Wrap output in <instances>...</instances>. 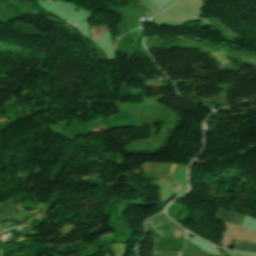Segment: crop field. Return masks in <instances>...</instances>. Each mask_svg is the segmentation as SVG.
Returning a JSON list of instances; mask_svg holds the SVG:
<instances>
[{"instance_id":"crop-field-3","label":"crop field","mask_w":256,"mask_h":256,"mask_svg":"<svg viewBox=\"0 0 256 256\" xmlns=\"http://www.w3.org/2000/svg\"><path fill=\"white\" fill-rule=\"evenodd\" d=\"M171 168H172V165L152 164V163L143 164L144 171L153 173L160 178H167V179L173 180L170 173Z\"/></svg>"},{"instance_id":"crop-field-8","label":"crop field","mask_w":256,"mask_h":256,"mask_svg":"<svg viewBox=\"0 0 256 256\" xmlns=\"http://www.w3.org/2000/svg\"><path fill=\"white\" fill-rule=\"evenodd\" d=\"M154 256H174V252L154 251Z\"/></svg>"},{"instance_id":"crop-field-1","label":"crop field","mask_w":256,"mask_h":256,"mask_svg":"<svg viewBox=\"0 0 256 256\" xmlns=\"http://www.w3.org/2000/svg\"><path fill=\"white\" fill-rule=\"evenodd\" d=\"M245 216L246 215L241 216L240 214H238L236 212H228V211L220 208L216 218L238 225V223L241 220H243L245 218ZM230 241H231L230 239L224 238V240L221 241V243H223L224 244L223 247H225ZM231 245H235L236 246L235 247L236 250H240V251L256 254V243L255 242H246V241L232 240L226 246V248L231 246Z\"/></svg>"},{"instance_id":"crop-field-4","label":"crop field","mask_w":256,"mask_h":256,"mask_svg":"<svg viewBox=\"0 0 256 256\" xmlns=\"http://www.w3.org/2000/svg\"><path fill=\"white\" fill-rule=\"evenodd\" d=\"M188 166L175 165L172 171L174 179L181 183L182 189H187V172Z\"/></svg>"},{"instance_id":"crop-field-6","label":"crop field","mask_w":256,"mask_h":256,"mask_svg":"<svg viewBox=\"0 0 256 256\" xmlns=\"http://www.w3.org/2000/svg\"><path fill=\"white\" fill-rule=\"evenodd\" d=\"M183 253L187 256H209L208 254L197 250L188 240H185Z\"/></svg>"},{"instance_id":"crop-field-2","label":"crop field","mask_w":256,"mask_h":256,"mask_svg":"<svg viewBox=\"0 0 256 256\" xmlns=\"http://www.w3.org/2000/svg\"><path fill=\"white\" fill-rule=\"evenodd\" d=\"M148 223H150L157 233L162 237L174 238L183 237L185 238V230L178 226L176 223L172 222L165 213H162L154 218H152Z\"/></svg>"},{"instance_id":"crop-field-5","label":"crop field","mask_w":256,"mask_h":256,"mask_svg":"<svg viewBox=\"0 0 256 256\" xmlns=\"http://www.w3.org/2000/svg\"><path fill=\"white\" fill-rule=\"evenodd\" d=\"M17 205L13 204V199L7 200L5 203L0 205V217L4 220L8 219L15 211Z\"/></svg>"},{"instance_id":"crop-field-7","label":"crop field","mask_w":256,"mask_h":256,"mask_svg":"<svg viewBox=\"0 0 256 256\" xmlns=\"http://www.w3.org/2000/svg\"><path fill=\"white\" fill-rule=\"evenodd\" d=\"M100 32H110L108 26L106 27H91V34L93 38H99Z\"/></svg>"}]
</instances>
